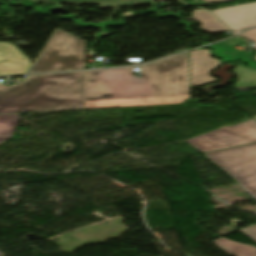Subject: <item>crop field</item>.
Returning <instances> with one entry per match:
<instances>
[{"mask_svg":"<svg viewBox=\"0 0 256 256\" xmlns=\"http://www.w3.org/2000/svg\"><path fill=\"white\" fill-rule=\"evenodd\" d=\"M87 71L86 108L181 103L189 98L188 53L140 67Z\"/></svg>","mask_w":256,"mask_h":256,"instance_id":"8a807250","label":"crop field"},{"mask_svg":"<svg viewBox=\"0 0 256 256\" xmlns=\"http://www.w3.org/2000/svg\"><path fill=\"white\" fill-rule=\"evenodd\" d=\"M86 72L35 75L0 84V114L85 108Z\"/></svg>","mask_w":256,"mask_h":256,"instance_id":"ac0d7876","label":"crop field"},{"mask_svg":"<svg viewBox=\"0 0 256 256\" xmlns=\"http://www.w3.org/2000/svg\"><path fill=\"white\" fill-rule=\"evenodd\" d=\"M86 68V42L57 28L29 73Z\"/></svg>","mask_w":256,"mask_h":256,"instance_id":"34b2d1b8","label":"crop field"},{"mask_svg":"<svg viewBox=\"0 0 256 256\" xmlns=\"http://www.w3.org/2000/svg\"><path fill=\"white\" fill-rule=\"evenodd\" d=\"M205 155L256 197V143Z\"/></svg>","mask_w":256,"mask_h":256,"instance_id":"412701ff","label":"crop field"},{"mask_svg":"<svg viewBox=\"0 0 256 256\" xmlns=\"http://www.w3.org/2000/svg\"><path fill=\"white\" fill-rule=\"evenodd\" d=\"M203 153L256 142V121L252 118L235 125L187 140Z\"/></svg>","mask_w":256,"mask_h":256,"instance_id":"f4fd0767","label":"crop field"},{"mask_svg":"<svg viewBox=\"0 0 256 256\" xmlns=\"http://www.w3.org/2000/svg\"><path fill=\"white\" fill-rule=\"evenodd\" d=\"M231 30L256 26V3L213 11Z\"/></svg>","mask_w":256,"mask_h":256,"instance_id":"dd49c442","label":"crop field"},{"mask_svg":"<svg viewBox=\"0 0 256 256\" xmlns=\"http://www.w3.org/2000/svg\"><path fill=\"white\" fill-rule=\"evenodd\" d=\"M209 52L201 49L189 53L190 87L215 80L209 73L220 61L210 58Z\"/></svg>","mask_w":256,"mask_h":256,"instance_id":"e52e79f7","label":"crop field"},{"mask_svg":"<svg viewBox=\"0 0 256 256\" xmlns=\"http://www.w3.org/2000/svg\"><path fill=\"white\" fill-rule=\"evenodd\" d=\"M31 64L15 45L0 42V75L25 74Z\"/></svg>","mask_w":256,"mask_h":256,"instance_id":"d8731c3e","label":"crop field"},{"mask_svg":"<svg viewBox=\"0 0 256 256\" xmlns=\"http://www.w3.org/2000/svg\"><path fill=\"white\" fill-rule=\"evenodd\" d=\"M240 231L256 242V224ZM213 242L227 253L235 256H256V247L254 246L230 241L225 237Z\"/></svg>","mask_w":256,"mask_h":256,"instance_id":"5a996713","label":"crop field"},{"mask_svg":"<svg viewBox=\"0 0 256 256\" xmlns=\"http://www.w3.org/2000/svg\"><path fill=\"white\" fill-rule=\"evenodd\" d=\"M244 44H246L244 40L239 38H233L213 46L216 48H219L220 53L226 57L245 60L251 57L252 55L249 52L234 48L235 46L244 45Z\"/></svg>","mask_w":256,"mask_h":256,"instance_id":"3316defc","label":"crop field"},{"mask_svg":"<svg viewBox=\"0 0 256 256\" xmlns=\"http://www.w3.org/2000/svg\"><path fill=\"white\" fill-rule=\"evenodd\" d=\"M192 17L198 22L202 23L201 29L210 33H220L229 31L225 28L212 14L203 11L195 10Z\"/></svg>","mask_w":256,"mask_h":256,"instance_id":"28ad6ade","label":"crop field"},{"mask_svg":"<svg viewBox=\"0 0 256 256\" xmlns=\"http://www.w3.org/2000/svg\"><path fill=\"white\" fill-rule=\"evenodd\" d=\"M19 117L20 114L0 115V143L14 134Z\"/></svg>","mask_w":256,"mask_h":256,"instance_id":"d1516ede","label":"crop field"},{"mask_svg":"<svg viewBox=\"0 0 256 256\" xmlns=\"http://www.w3.org/2000/svg\"><path fill=\"white\" fill-rule=\"evenodd\" d=\"M235 72L239 78L235 89L256 88V69H246L243 66H237Z\"/></svg>","mask_w":256,"mask_h":256,"instance_id":"22f410ed","label":"crop field"},{"mask_svg":"<svg viewBox=\"0 0 256 256\" xmlns=\"http://www.w3.org/2000/svg\"><path fill=\"white\" fill-rule=\"evenodd\" d=\"M52 2H63V3H115L120 2L119 0H51Z\"/></svg>","mask_w":256,"mask_h":256,"instance_id":"cbeb9de0","label":"crop field"},{"mask_svg":"<svg viewBox=\"0 0 256 256\" xmlns=\"http://www.w3.org/2000/svg\"><path fill=\"white\" fill-rule=\"evenodd\" d=\"M239 36L245 38V39H248L252 42L255 43V45L252 47V49H255L256 50V30H253V31H249V32H246V33H243V34H240ZM256 60V55L255 57L253 58Z\"/></svg>","mask_w":256,"mask_h":256,"instance_id":"5142ce71","label":"crop field"},{"mask_svg":"<svg viewBox=\"0 0 256 256\" xmlns=\"http://www.w3.org/2000/svg\"><path fill=\"white\" fill-rule=\"evenodd\" d=\"M209 47L215 50V54H216L218 57L224 59L225 61H232L231 59H227V58L223 57L222 55H220V54L217 52V50H216L215 48H213V47H211V46H209Z\"/></svg>","mask_w":256,"mask_h":256,"instance_id":"d9b57169","label":"crop field"},{"mask_svg":"<svg viewBox=\"0 0 256 256\" xmlns=\"http://www.w3.org/2000/svg\"><path fill=\"white\" fill-rule=\"evenodd\" d=\"M245 63V62H244ZM247 64H249V63H247ZM249 67L250 68H256V66H254V65H252V64H249Z\"/></svg>","mask_w":256,"mask_h":256,"instance_id":"733c2abd","label":"crop field"},{"mask_svg":"<svg viewBox=\"0 0 256 256\" xmlns=\"http://www.w3.org/2000/svg\"><path fill=\"white\" fill-rule=\"evenodd\" d=\"M125 1H132V0H121V2H125Z\"/></svg>","mask_w":256,"mask_h":256,"instance_id":"4a817a6b","label":"crop field"},{"mask_svg":"<svg viewBox=\"0 0 256 256\" xmlns=\"http://www.w3.org/2000/svg\"><path fill=\"white\" fill-rule=\"evenodd\" d=\"M255 118H256V117H255ZM255 118H254V119H255Z\"/></svg>","mask_w":256,"mask_h":256,"instance_id":"bc2a9ffb","label":"crop field"}]
</instances>
